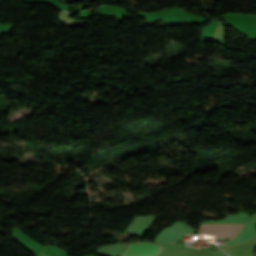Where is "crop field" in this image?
Instances as JSON below:
<instances>
[{
  "label": "crop field",
  "instance_id": "2",
  "mask_svg": "<svg viewBox=\"0 0 256 256\" xmlns=\"http://www.w3.org/2000/svg\"><path fill=\"white\" fill-rule=\"evenodd\" d=\"M151 244H129L122 256H155L160 254L163 248H161L159 245L155 246L157 244Z\"/></svg>",
  "mask_w": 256,
  "mask_h": 256
},
{
  "label": "crop field",
  "instance_id": "1",
  "mask_svg": "<svg viewBox=\"0 0 256 256\" xmlns=\"http://www.w3.org/2000/svg\"><path fill=\"white\" fill-rule=\"evenodd\" d=\"M208 226V224H201ZM243 224H209V227H201V233L208 235H217L218 238H233Z\"/></svg>",
  "mask_w": 256,
  "mask_h": 256
}]
</instances>
